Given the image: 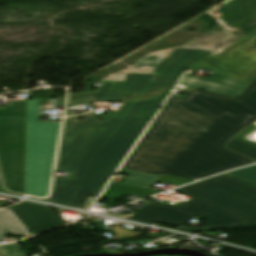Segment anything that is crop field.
<instances>
[{
    "label": "crop field",
    "mask_w": 256,
    "mask_h": 256,
    "mask_svg": "<svg viewBox=\"0 0 256 256\" xmlns=\"http://www.w3.org/2000/svg\"><path fill=\"white\" fill-rule=\"evenodd\" d=\"M255 120L256 78L237 98L194 88L171 95L122 168L196 181L256 163L223 148Z\"/></svg>",
    "instance_id": "8a807250"
},
{
    "label": "crop field",
    "mask_w": 256,
    "mask_h": 256,
    "mask_svg": "<svg viewBox=\"0 0 256 256\" xmlns=\"http://www.w3.org/2000/svg\"><path fill=\"white\" fill-rule=\"evenodd\" d=\"M210 54L177 49L169 58L151 56L136 65L155 66L154 74H128L124 82L102 81L88 92L89 101L125 104L114 119L99 123L73 207L81 208L87 195L98 197L186 68Z\"/></svg>",
    "instance_id": "ac0d7876"
},
{
    "label": "crop field",
    "mask_w": 256,
    "mask_h": 256,
    "mask_svg": "<svg viewBox=\"0 0 256 256\" xmlns=\"http://www.w3.org/2000/svg\"><path fill=\"white\" fill-rule=\"evenodd\" d=\"M189 196L174 207L140 201L147 204L131 220L148 224L160 223L179 227L194 217H205V225L199 230H222L256 226V206L232 196L195 183L177 190ZM180 230L193 232L196 229L183 227Z\"/></svg>",
    "instance_id": "34b2d1b8"
},
{
    "label": "crop field",
    "mask_w": 256,
    "mask_h": 256,
    "mask_svg": "<svg viewBox=\"0 0 256 256\" xmlns=\"http://www.w3.org/2000/svg\"><path fill=\"white\" fill-rule=\"evenodd\" d=\"M27 117L25 193L48 196L61 124Z\"/></svg>",
    "instance_id": "412701ff"
},
{
    "label": "crop field",
    "mask_w": 256,
    "mask_h": 256,
    "mask_svg": "<svg viewBox=\"0 0 256 256\" xmlns=\"http://www.w3.org/2000/svg\"><path fill=\"white\" fill-rule=\"evenodd\" d=\"M27 101L0 109V168L6 187L24 193Z\"/></svg>",
    "instance_id": "f4fd0767"
},
{
    "label": "crop field",
    "mask_w": 256,
    "mask_h": 256,
    "mask_svg": "<svg viewBox=\"0 0 256 256\" xmlns=\"http://www.w3.org/2000/svg\"><path fill=\"white\" fill-rule=\"evenodd\" d=\"M79 117L87 118L79 121ZM97 125L95 111L65 119L56 171L73 172V175L72 179H55L54 184L79 185Z\"/></svg>",
    "instance_id": "dd49c442"
},
{
    "label": "crop field",
    "mask_w": 256,
    "mask_h": 256,
    "mask_svg": "<svg viewBox=\"0 0 256 256\" xmlns=\"http://www.w3.org/2000/svg\"><path fill=\"white\" fill-rule=\"evenodd\" d=\"M256 41V31L227 48L218 55L205 58L199 64L221 73H227L247 84L256 77V53L245 49Z\"/></svg>",
    "instance_id": "e52e79f7"
},
{
    "label": "crop field",
    "mask_w": 256,
    "mask_h": 256,
    "mask_svg": "<svg viewBox=\"0 0 256 256\" xmlns=\"http://www.w3.org/2000/svg\"><path fill=\"white\" fill-rule=\"evenodd\" d=\"M218 27L241 37L256 30V0H226L210 12Z\"/></svg>",
    "instance_id": "d8731c3e"
},
{
    "label": "crop field",
    "mask_w": 256,
    "mask_h": 256,
    "mask_svg": "<svg viewBox=\"0 0 256 256\" xmlns=\"http://www.w3.org/2000/svg\"><path fill=\"white\" fill-rule=\"evenodd\" d=\"M197 68L214 71L199 64L190 68L189 71H194ZM179 84L220 94H225L233 97H237L242 92V90L247 86V84L227 74L223 75L216 71H214V73L207 79L191 75H185Z\"/></svg>",
    "instance_id": "5a996713"
},
{
    "label": "crop field",
    "mask_w": 256,
    "mask_h": 256,
    "mask_svg": "<svg viewBox=\"0 0 256 256\" xmlns=\"http://www.w3.org/2000/svg\"><path fill=\"white\" fill-rule=\"evenodd\" d=\"M10 209L23 222L32 235L64 224L49 208L22 203Z\"/></svg>",
    "instance_id": "3316defc"
},
{
    "label": "crop field",
    "mask_w": 256,
    "mask_h": 256,
    "mask_svg": "<svg viewBox=\"0 0 256 256\" xmlns=\"http://www.w3.org/2000/svg\"><path fill=\"white\" fill-rule=\"evenodd\" d=\"M199 183L256 205V185L229 173Z\"/></svg>",
    "instance_id": "28ad6ade"
},
{
    "label": "crop field",
    "mask_w": 256,
    "mask_h": 256,
    "mask_svg": "<svg viewBox=\"0 0 256 256\" xmlns=\"http://www.w3.org/2000/svg\"><path fill=\"white\" fill-rule=\"evenodd\" d=\"M240 39L241 37L223 30L204 41L196 40L186 46L179 47V48L204 49L214 54H218ZM175 49H171V50H167V51H163V52H159L151 55L160 56V57H169Z\"/></svg>",
    "instance_id": "d1516ede"
},
{
    "label": "crop field",
    "mask_w": 256,
    "mask_h": 256,
    "mask_svg": "<svg viewBox=\"0 0 256 256\" xmlns=\"http://www.w3.org/2000/svg\"><path fill=\"white\" fill-rule=\"evenodd\" d=\"M3 229H8L12 235L20 234L23 238L31 236L22 222L9 208L0 210V238L6 237Z\"/></svg>",
    "instance_id": "22f410ed"
},
{
    "label": "crop field",
    "mask_w": 256,
    "mask_h": 256,
    "mask_svg": "<svg viewBox=\"0 0 256 256\" xmlns=\"http://www.w3.org/2000/svg\"><path fill=\"white\" fill-rule=\"evenodd\" d=\"M78 187L79 186L53 185L51 198L43 201L72 207Z\"/></svg>",
    "instance_id": "cbeb9de0"
},
{
    "label": "crop field",
    "mask_w": 256,
    "mask_h": 256,
    "mask_svg": "<svg viewBox=\"0 0 256 256\" xmlns=\"http://www.w3.org/2000/svg\"><path fill=\"white\" fill-rule=\"evenodd\" d=\"M119 172L130 175L124 184L142 187L146 189H149L151 185L159 178L158 176L123 170V169H120Z\"/></svg>",
    "instance_id": "5142ce71"
},
{
    "label": "crop field",
    "mask_w": 256,
    "mask_h": 256,
    "mask_svg": "<svg viewBox=\"0 0 256 256\" xmlns=\"http://www.w3.org/2000/svg\"><path fill=\"white\" fill-rule=\"evenodd\" d=\"M225 148L256 161V147L236 137L232 138Z\"/></svg>",
    "instance_id": "d9b57169"
},
{
    "label": "crop field",
    "mask_w": 256,
    "mask_h": 256,
    "mask_svg": "<svg viewBox=\"0 0 256 256\" xmlns=\"http://www.w3.org/2000/svg\"><path fill=\"white\" fill-rule=\"evenodd\" d=\"M154 70H155V67L132 66L104 80L124 81V78L128 73H153Z\"/></svg>",
    "instance_id": "733c2abd"
},
{
    "label": "crop field",
    "mask_w": 256,
    "mask_h": 256,
    "mask_svg": "<svg viewBox=\"0 0 256 256\" xmlns=\"http://www.w3.org/2000/svg\"><path fill=\"white\" fill-rule=\"evenodd\" d=\"M0 256H25L19 243L0 246Z\"/></svg>",
    "instance_id": "4a817a6b"
},
{
    "label": "crop field",
    "mask_w": 256,
    "mask_h": 256,
    "mask_svg": "<svg viewBox=\"0 0 256 256\" xmlns=\"http://www.w3.org/2000/svg\"><path fill=\"white\" fill-rule=\"evenodd\" d=\"M230 173L256 184V166L238 169Z\"/></svg>",
    "instance_id": "bc2a9ffb"
},
{
    "label": "crop field",
    "mask_w": 256,
    "mask_h": 256,
    "mask_svg": "<svg viewBox=\"0 0 256 256\" xmlns=\"http://www.w3.org/2000/svg\"><path fill=\"white\" fill-rule=\"evenodd\" d=\"M88 93L70 94L68 106L91 105L88 101Z\"/></svg>",
    "instance_id": "214f88e0"
},
{
    "label": "crop field",
    "mask_w": 256,
    "mask_h": 256,
    "mask_svg": "<svg viewBox=\"0 0 256 256\" xmlns=\"http://www.w3.org/2000/svg\"><path fill=\"white\" fill-rule=\"evenodd\" d=\"M43 100L28 101L27 115L40 114Z\"/></svg>",
    "instance_id": "92a150f3"
},
{
    "label": "crop field",
    "mask_w": 256,
    "mask_h": 256,
    "mask_svg": "<svg viewBox=\"0 0 256 256\" xmlns=\"http://www.w3.org/2000/svg\"><path fill=\"white\" fill-rule=\"evenodd\" d=\"M246 50L254 53V52H256V46L252 45L249 48H247Z\"/></svg>",
    "instance_id": "dafd665d"
},
{
    "label": "crop field",
    "mask_w": 256,
    "mask_h": 256,
    "mask_svg": "<svg viewBox=\"0 0 256 256\" xmlns=\"http://www.w3.org/2000/svg\"><path fill=\"white\" fill-rule=\"evenodd\" d=\"M0 192L10 193V192H8L7 190H5V189L2 187V185H0ZM10 194H13V193H10ZM15 195H17V194H15Z\"/></svg>",
    "instance_id": "00972430"
},
{
    "label": "crop field",
    "mask_w": 256,
    "mask_h": 256,
    "mask_svg": "<svg viewBox=\"0 0 256 256\" xmlns=\"http://www.w3.org/2000/svg\"><path fill=\"white\" fill-rule=\"evenodd\" d=\"M150 57V55H148V56H146L144 59H142V60H145V59H148Z\"/></svg>",
    "instance_id": "a9b5d70f"
},
{
    "label": "crop field",
    "mask_w": 256,
    "mask_h": 256,
    "mask_svg": "<svg viewBox=\"0 0 256 256\" xmlns=\"http://www.w3.org/2000/svg\"><path fill=\"white\" fill-rule=\"evenodd\" d=\"M0 184H2L1 177H0Z\"/></svg>",
    "instance_id": "4177f3b9"
}]
</instances>
